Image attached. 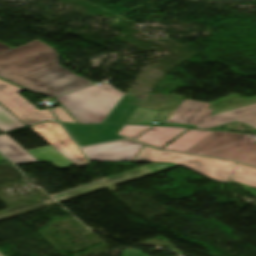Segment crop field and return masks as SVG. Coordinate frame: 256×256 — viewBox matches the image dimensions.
<instances>
[{
    "instance_id": "a9b5d70f",
    "label": "crop field",
    "mask_w": 256,
    "mask_h": 256,
    "mask_svg": "<svg viewBox=\"0 0 256 256\" xmlns=\"http://www.w3.org/2000/svg\"><path fill=\"white\" fill-rule=\"evenodd\" d=\"M5 159L0 156V161H4Z\"/></svg>"
},
{
    "instance_id": "bc2a9ffb",
    "label": "crop field",
    "mask_w": 256,
    "mask_h": 256,
    "mask_svg": "<svg viewBox=\"0 0 256 256\" xmlns=\"http://www.w3.org/2000/svg\"><path fill=\"white\" fill-rule=\"evenodd\" d=\"M149 127L150 126L125 125L119 134L133 139Z\"/></svg>"
},
{
    "instance_id": "28ad6ade",
    "label": "crop field",
    "mask_w": 256,
    "mask_h": 256,
    "mask_svg": "<svg viewBox=\"0 0 256 256\" xmlns=\"http://www.w3.org/2000/svg\"><path fill=\"white\" fill-rule=\"evenodd\" d=\"M185 130L186 128L154 126L136 139V141L161 148Z\"/></svg>"
},
{
    "instance_id": "e52e79f7",
    "label": "crop field",
    "mask_w": 256,
    "mask_h": 256,
    "mask_svg": "<svg viewBox=\"0 0 256 256\" xmlns=\"http://www.w3.org/2000/svg\"><path fill=\"white\" fill-rule=\"evenodd\" d=\"M142 147L131 140H121L80 148L89 161H130Z\"/></svg>"
},
{
    "instance_id": "d8731c3e",
    "label": "crop field",
    "mask_w": 256,
    "mask_h": 256,
    "mask_svg": "<svg viewBox=\"0 0 256 256\" xmlns=\"http://www.w3.org/2000/svg\"><path fill=\"white\" fill-rule=\"evenodd\" d=\"M210 104L185 100L170 116H160L154 121L162 125H179L195 127L203 123L213 112L207 109Z\"/></svg>"
},
{
    "instance_id": "412701ff",
    "label": "crop field",
    "mask_w": 256,
    "mask_h": 256,
    "mask_svg": "<svg viewBox=\"0 0 256 256\" xmlns=\"http://www.w3.org/2000/svg\"><path fill=\"white\" fill-rule=\"evenodd\" d=\"M133 161L174 162L195 172L227 183L236 163L223 160L155 151L143 147Z\"/></svg>"
},
{
    "instance_id": "00972430",
    "label": "crop field",
    "mask_w": 256,
    "mask_h": 256,
    "mask_svg": "<svg viewBox=\"0 0 256 256\" xmlns=\"http://www.w3.org/2000/svg\"><path fill=\"white\" fill-rule=\"evenodd\" d=\"M10 49H12V48L0 43V53L5 52Z\"/></svg>"
},
{
    "instance_id": "8a807250",
    "label": "crop field",
    "mask_w": 256,
    "mask_h": 256,
    "mask_svg": "<svg viewBox=\"0 0 256 256\" xmlns=\"http://www.w3.org/2000/svg\"><path fill=\"white\" fill-rule=\"evenodd\" d=\"M0 77L50 97L93 84L61 67L53 48L38 40L0 54Z\"/></svg>"
},
{
    "instance_id": "dd49c442",
    "label": "crop field",
    "mask_w": 256,
    "mask_h": 256,
    "mask_svg": "<svg viewBox=\"0 0 256 256\" xmlns=\"http://www.w3.org/2000/svg\"><path fill=\"white\" fill-rule=\"evenodd\" d=\"M30 128L49 142L52 147L71 160L76 166L88 165L84 156L78 151L79 149L77 150V146L59 123L47 122L31 126Z\"/></svg>"
},
{
    "instance_id": "92a150f3",
    "label": "crop field",
    "mask_w": 256,
    "mask_h": 256,
    "mask_svg": "<svg viewBox=\"0 0 256 256\" xmlns=\"http://www.w3.org/2000/svg\"><path fill=\"white\" fill-rule=\"evenodd\" d=\"M52 111L55 113V115L58 117L60 122L65 123H76L74 119L61 107H57L52 109Z\"/></svg>"
},
{
    "instance_id": "733c2abd",
    "label": "crop field",
    "mask_w": 256,
    "mask_h": 256,
    "mask_svg": "<svg viewBox=\"0 0 256 256\" xmlns=\"http://www.w3.org/2000/svg\"><path fill=\"white\" fill-rule=\"evenodd\" d=\"M159 113V111L138 107L127 123L151 124Z\"/></svg>"
},
{
    "instance_id": "dafd665d",
    "label": "crop field",
    "mask_w": 256,
    "mask_h": 256,
    "mask_svg": "<svg viewBox=\"0 0 256 256\" xmlns=\"http://www.w3.org/2000/svg\"><path fill=\"white\" fill-rule=\"evenodd\" d=\"M172 165H176V164H174V163H159L157 165L151 166V167L146 168V169L155 171V170H159V169H162V168H165V167H169V166H172Z\"/></svg>"
},
{
    "instance_id": "3316defc",
    "label": "crop field",
    "mask_w": 256,
    "mask_h": 256,
    "mask_svg": "<svg viewBox=\"0 0 256 256\" xmlns=\"http://www.w3.org/2000/svg\"><path fill=\"white\" fill-rule=\"evenodd\" d=\"M246 122L256 129V104L209 117L197 129H208L230 122Z\"/></svg>"
},
{
    "instance_id": "5a996713",
    "label": "crop field",
    "mask_w": 256,
    "mask_h": 256,
    "mask_svg": "<svg viewBox=\"0 0 256 256\" xmlns=\"http://www.w3.org/2000/svg\"><path fill=\"white\" fill-rule=\"evenodd\" d=\"M63 126L75 139L79 146L97 144L124 138L117 135L123 125H71Z\"/></svg>"
},
{
    "instance_id": "22f410ed",
    "label": "crop field",
    "mask_w": 256,
    "mask_h": 256,
    "mask_svg": "<svg viewBox=\"0 0 256 256\" xmlns=\"http://www.w3.org/2000/svg\"><path fill=\"white\" fill-rule=\"evenodd\" d=\"M0 152L14 163L38 161L6 134L0 136Z\"/></svg>"
},
{
    "instance_id": "f4fd0767",
    "label": "crop field",
    "mask_w": 256,
    "mask_h": 256,
    "mask_svg": "<svg viewBox=\"0 0 256 256\" xmlns=\"http://www.w3.org/2000/svg\"><path fill=\"white\" fill-rule=\"evenodd\" d=\"M24 91L0 80V103L27 125L45 121H56L49 110H38L18 92Z\"/></svg>"
},
{
    "instance_id": "ac0d7876",
    "label": "crop field",
    "mask_w": 256,
    "mask_h": 256,
    "mask_svg": "<svg viewBox=\"0 0 256 256\" xmlns=\"http://www.w3.org/2000/svg\"><path fill=\"white\" fill-rule=\"evenodd\" d=\"M107 83L56 99L80 124L102 123L123 97Z\"/></svg>"
},
{
    "instance_id": "d1516ede",
    "label": "crop field",
    "mask_w": 256,
    "mask_h": 256,
    "mask_svg": "<svg viewBox=\"0 0 256 256\" xmlns=\"http://www.w3.org/2000/svg\"><path fill=\"white\" fill-rule=\"evenodd\" d=\"M212 133L213 132L209 131H199L190 129L182 136L177 138L175 141L170 143L168 146H166L164 150L185 153Z\"/></svg>"
},
{
    "instance_id": "214f88e0",
    "label": "crop field",
    "mask_w": 256,
    "mask_h": 256,
    "mask_svg": "<svg viewBox=\"0 0 256 256\" xmlns=\"http://www.w3.org/2000/svg\"><path fill=\"white\" fill-rule=\"evenodd\" d=\"M148 93H138V94H125L121 99L122 102L132 103L140 105Z\"/></svg>"
},
{
    "instance_id": "cbeb9de0",
    "label": "crop field",
    "mask_w": 256,
    "mask_h": 256,
    "mask_svg": "<svg viewBox=\"0 0 256 256\" xmlns=\"http://www.w3.org/2000/svg\"><path fill=\"white\" fill-rule=\"evenodd\" d=\"M36 159L43 160V161H51L60 169L70 166L72 162H70L67 158L61 155L58 151L52 148L50 145L29 150L27 151Z\"/></svg>"
},
{
    "instance_id": "4177f3b9",
    "label": "crop field",
    "mask_w": 256,
    "mask_h": 256,
    "mask_svg": "<svg viewBox=\"0 0 256 256\" xmlns=\"http://www.w3.org/2000/svg\"><path fill=\"white\" fill-rule=\"evenodd\" d=\"M255 133H256V131H255Z\"/></svg>"
},
{
    "instance_id": "5142ce71",
    "label": "crop field",
    "mask_w": 256,
    "mask_h": 256,
    "mask_svg": "<svg viewBox=\"0 0 256 256\" xmlns=\"http://www.w3.org/2000/svg\"><path fill=\"white\" fill-rule=\"evenodd\" d=\"M137 107V105L119 102L103 123H125Z\"/></svg>"
},
{
    "instance_id": "d9b57169",
    "label": "crop field",
    "mask_w": 256,
    "mask_h": 256,
    "mask_svg": "<svg viewBox=\"0 0 256 256\" xmlns=\"http://www.w3.org/2000/svg\"><path fill=\"white\" fill-rule=\"evenodd\" d=\"M230 180L256 187V169L237 163Z\"/></svg>"
},
{
    "instance_id": "34b2d1b8",
    "label": "crop field",
    "mask_w": 256,
    "mask_h": 256,
    "mask_svg": "<svg viewBox=\"0 0 256 256\" xmlns=\"http://www.w3.org/2000/svg\"><path fill=\"white\" fill-rule=\"evenodd\" d=\"M187 153L225 158L256 166V135L215 132Z\"/></svg>"
},
{
    "instance_id": "4a817a6b",
    "label": "crop field",
    "mask_w": 256,
    "mask_h": 256,
    "mask_svg": "<svg viewBox=\"0 0 256 256\" xmlns=\"http://www.w3.org/2000/svg\"><path fill=\"white\" fill-rule=\"evenodd\" d=\"M20 127L24 125L0 106V130L5 132Z\"/></svg>"
}]
</instances>
